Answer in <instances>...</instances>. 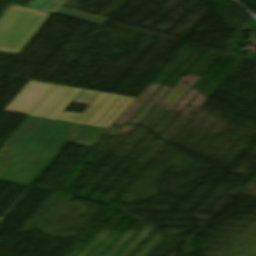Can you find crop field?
<instances>
[{
    "label": "crop field",
    "instance_id": "obj_1",
    "mask_svg": "<svg viewBox=\"0 0 256 256\" xmlns=\"http://www.w3.org/2000/svg\"><path fill=\"white\" fill-rule=\"evenodd\" d=\"M107 130L29 116L4 146L57 155L67 142L93 148Z\"/></svg>",
    "mask_w": 256,
    "mask_h": 256
},
{
    "label": "crop field",
    "instance_id": "obj_2",
    "mask_svg": "<svg viewBox=\"0 0 256 256\" xmlns=\"http://www.w3.org/2000/svg\"><path fill=\"white\" fill-rule=\"evenodd\" d=\"M81 91L31 81L4 111L56 120Z\"/></svg>",
    "mask_w": 256,
    "mask_h": 256
},
{
    "label": "crop field",
    "instance_id": "obj_3",
    "mask_svg": "<svg viewBox=\"0 0 256 256\" xmlns=\"http://www.w3.org/2000/svg\"><path fill=\"white\" fill-rule=\"evenodd\" d=\"M50 14L11 4L0 18V51L18 54Z\"/></svg>",
    "mask_w": 256,
    "mask_h": 256
},
{
    "label": "crop field",
    "instance_id": "obj_4",
    "mask_svg": "<svg viewBox=\"0 0 256 256\" xmlns=\"http://www.w3.org/2000/svg\"><path fill=\"white\" fill-rule=\"evenodd\" d=\"M134 100V98L83 90L74 101L90 104L85 112L81 114L63 112L57 120L110 128Z\"/></svg>",
    "mask_w": 256,
    "mask_h": 256
},
{
    "label": "crop field",
    "instance_id": "obj_5",
    "mask_svg": "<svg viewBox=\"0 0 256 256\" xmlns=\"http://www.w3.org/2000/svg\"><path fill=\"white\" fill-rule=\"evenodd\" d=\"M68 0H33L32 3L28 6L29 8L49 12V13H56L96 24L103 25L107 19L67 10L60 8L64 3Z\"/></svg>",
    "mask_w": 256,
    "mask_h": 256
}]
</instances>
